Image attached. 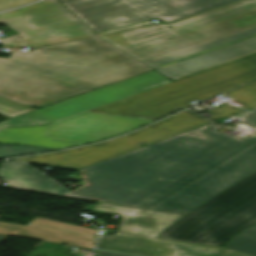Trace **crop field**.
I'll list each match as a JSON object with an SVG mask.
<instances>
[{"mask_svg":"<svg viewBox=\"0 0 256 256\" xmlns=\"http://www.w3.org/2000/svg\"><path fill=\"white\" fill-rule=\"evenodd\" d=\"M46 151H54V149H43L34 146H20L11 144H0V159L7 157H14L20 155H27L33 153H40Z\"/></svg>","mask_w":256,"mask_h":256,"instance_id":"obj_15","label":"crop field"},{"mask_svg":"<svg viewBox=\"0 0 256 256\" xmlns=\"http://www.w3.org/2000/svg\"><path fill=\"white\" fill-rule=\"evenodd\" d=\"M211 111H213V112H215V113H217V114H219L223 117H226V116L233 115V114H235L237 112H240V111H243V110H240L238 108H235V107H232L230 105L225 104V105H223L219 108H216L214 110H211Z\"/></svg>","mask_w":256,"mask_h":256,"instance_id":"obj_17","label":"crop field"},{"mask_svg":"<svg viewBox=\"0 0 256 256\" xmlns=\"http://www.w3.org/2000/svg\"><path fill=\"white\" fill-rule=\"evenodd\" d=\"M210 122L186 110L125 137L91 146L10 160L78 170L141 147L142 144L149 145Z\"/></svg>","mask_w":256,"mask_h":256,"instance_id":"obj_7","label":"crop field"},{"mask_svg":"<svg viewBox=\"0 0 256 256\" xmlns=\"http://www.w3.org/2000/svg\"><path fill=\"white\" fill-rule=\"evenodd\" d=\"M256 126V111L244 117ZM208 125L78 170L64 196L187 214L256 171V132L244 139Z\"/></svg>","mask_w":256,"mask_h":256,"instance_id":"obj_1","label":"crop field"},{"mask_svg":"<svg viewBox=\"0 0 256 256\" xmlns=\"http://www.w3.org/2000/svg\"><path fill=\"white\" fill-rule=\"evenodd\" d=\"M226 247L251 256H256V223L230 239Z\"/></svg>","mask_w":256,"mask_h":256,"instance_id":"obj_13","label":"crop field"},{"mask_svg":"<svg viewBox=\"0 0 256 256\" xmlns=\"http://www.w3.org/2000/svg\"><path fill=\"white\" fill-rule=\"evenodd\" d=\"M102 38L0 58V97L36 109L151 70Z\"/></svg>","mask_w":256,"mask_h":256,"instance_id":"obj_4","label":"crop field"},{"mask_svg":"<svg viewBox=\"0 0 256 256\" xmlns=\"http://www.w3.org/2000/svg\"><path fill=\"white\" fill-rule=\"evenodd\" d=\"M239 0H64L95 33L147 20L173 23Z\"/></svg>","mask_w":256,"mask_h":256,"instance_id":"obj_6","label":"crop field"},{"mask_svg":"<svg viewBox=\"0 0 256 256\" xmlns=\"http://www.w3.org/2000/svg\"><path fill=\"white\" fill-rule=\"evenodd\" d=\"M97 256H128V255H122V254L100 251Z\"/></svg>","mask_w":256,"mask_h":256,"instance_id":"obj_21","label":"crop field"},{"mask_svg":"<svg viewBox=\"0 0 256 256\" xmlns=\"http://www.w3.org/2000/svg\"><path fill=\"white\" fill-rule=\"evenodd\" d=\"M171 82L152 71L111 86L0 122V128L48 124Z\"/></svg>","mask_w":256,"mask_h":256,"instance_id":"obj_9","label":"crop field"},{"mask_svg":"<svg viewBox=\"0 0 256 256\" xmlns=\"http://www.w3.org/2000/svg\"><path fill=\"white\" fill-rule=\"evenodd\" d=\"M92 211L113 214L121 217L123 222L120 223V231L149 236H157L160 232L183 216L180 214L132 208L102 202H99Z\"/></svg>","mask_w":256,"mask_h":256,"instance_id":"obj_11","label":"crop field"},{"mask_svg":"<svg viewBox=\"0 0 256 256\" xmlns=\"http://www.w3.org/2000/svg\"><path fill=\"white\" fill-rule=\"evenodd\" d=\"M102 38L176 80L256 53V0Z\"/></svg>","mask_w":256,"mask_h":256,"instance_id":"obj_3","label":"crop field"},{"mask_svg":"<svg viewBox=\"0 0 256 256\" xmlns=\"http://www.w3.org/2000/svg\"><path fill=\"white\" fill-rule=\"evenodd\" d=\"M235 101L244 105L243 108L249 109L256 105V80L245 85L232 89L224 93Z\"/></svg>","mask_w":256,"mask_h":256,"instance_id":"obj_14","label":"crop field"},{"mask_svg":"<svg viewBox=\"0 0 256 256\" xmlns=\"http://www.w3.org/2000/svg\"><path fill=\"white\" fill-rule=\"evenodd\" d=\"M97 248L144 256H220L223 250L119 232L101 235Z\"/></svg>","mask_w":256,"mask_h":256,"instance_id":"obj_10","label":"crop field"},{"mask_svg":"<svg viewBox=\"0 0 256 256\" xmlns=\"http://www.w3.org/2000/svg\"><path fill=\"white\" fill-rule=\"evenodd\" d=\"M256 222V172L184 215L160 238L219 246Z\"/></svg>","mask_w":256,"mask_h":256,"instance_id":"obj_5","label":"crop field"},{"mask_svg":"<svg viewBox=\"0 0 256 256\" xmlns=\"http://www.w3.org/2000/svg\"><path fill=\"white\" fill-rule=\"evenodd\" d=\"M147 23H151V21H150V20H147V21H143V22H139V23L131 24V25H128V26H124V27L116 28V29H113V30H109V31H105V32L97 33V34H98V35H101V34H105V33L113 32V31H118V30H122V29L130 28V27H134V26H139V25H143V24H147Z\"/></svg>","mask_w":256,"mask_h":256,"instance_id":"obj_19","label":"crop field"},{"mask_svg":"<svg viewBox=\"0 0 256 256\" xmlns=\"http://www.w3.org/2000/svg\"><path fill=\"white\" fill-rule=\"evenodd\" d=\"M10 101L0 98V115L11 118L22 113L34 110L30 107L23 106Z\"/></svg>","mask_w":256,"mask_h":256,"instance_id":"obj_16","label":"crop field"},{"mask_svg":"<svg viewBox=\"0 0 256 256\" xmlns=\"http://www.w3.org/2000/svg\"><path fill=\"white\" fill-rule=\"evenodd\" d=\"M219 248H221V247H219ZM223 249H224V251H225V248H223ZM224 251H223V253H224ZM223 253H222V255H223ZM222 255H221V256H222Z\"/></svg>","mask_w":256,"mask_h":256,"instance_id":"obj_25","label":"crop field"},{"mask_svg":"<svg viewBox=\"0 0 256 256\" xmlns=\"http://www.w3.org/2000/svg\"><path fill=\"white\" fill-rule=\"evenodd\" d=\"M9 236H6V235H0V244L6 239L8 238Z\"/></svg>","mask_w":256,"mask_h":256,"instance_id":"obj_22","label":"crop field"},{"mask_svg":"<svg viewBox=\"0 0 256 256\" xmlns=\"http://www.w3.org/2000/svg\"><path fill=\"white\" fill-rule=\"evenodd\" d=\"M4 23L25 37H7V45L39 47L98 36L58 0H45L0 14ZM18 35V36H19Z\"/></svg>","mask_w":256,"mask_h":256,"instance_id":"obj_8","label":"crop field"},{"mask_svg":"<svg viewBox=\"0 0 256 256\" xmlns=\"http://www.w3.org/2000/svg\"><path fill=\"white\" fill-rule=\"evenodd\" d=\"M223 256H248V255L226 249Z\"/></svg>","mask_w":256,"mask_h":256,"instance_id":"obj_20","label":"crop field"},{"mask_svg":"<svg viewBox=\"0 0 256 256\" xmlns=\"http://www.w3.org/2000/svg\"><path fill=\"white\" fill-rule=\"evenodd\" d=\"M246 113H248V112L243 111V112L238 113L237 115H238V117H240V116H242V115H244V114H246Z\"/></svg>","mask_w":256,"mask_h":256,"instance_id":"obj_23","label":"crop field"},{"mask_svg":"<svg viewBox=\"0 0 256 256\" xmlns=\"http://www.w3.org/2000/svg\"><path fill=\"white\" fill-rule=\"evenodd\" d=\"M32 1H35V0H0V11L17 7L19 5L32 2Z\"/></svg>","mask_w":256,"mask_h":256,"instance_id":"obj_18","label":"crop field"},{"mask_svg":"<svg viewBox=\"0 0 256 256\" xmlns=\"http://www.w3.org/2000/svg\"><path fill=\"white\" fill-rule=\"evenodd\" d=\"M256 107H254V108H252V109H250V110H248V111H252L253 109H255Z\"/></svg>","mask_w":256,"mask_h":256,"instance_id":"obj_24","label":"crop field"},{"mask_svg":"<svg viewBox=\"0 0 256 256\" xmlns=\"http://www.w3.org/2000/svg\"><path fill=\"white\" fill-rule=\"evenodd\" d=\"M256 77V55L48 125L0 129V142L65 149L112 138Z\"/></svg>","mask_w":256,"mask_h":256,"instance_id":"obj_2","label":"crop field"},{"mask_svg":"<svg viewBox=\"0 0 256 256\" xmlns=\"http://www.w3.org/2000/svg\"><path fill=\"white\" fill-rule=\"evenodd\" d=\"M0 178L8 183L7 187L38 190L55 195L67 191L22 163L3 161L0 167Z\"/></svg>","mask_w":256,"mask_h":256,"instance_id":"obj_12","label":"crop field"}]
</instances>
